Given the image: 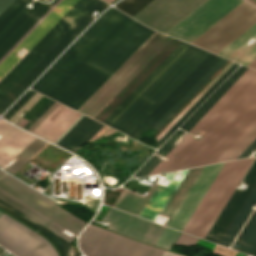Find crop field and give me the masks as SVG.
<instances>
[{"instance_id":"obj_1","label":"crop field","mask_w":256,"mask_h":256,"mask_svg":"<svg viewBox=\"0 0 256 256\" xmlns=\"http://www.w3.org/2000/svg\"><path fill=\"white\" fill-rule=\"evenodd\" d=\"M152 32L112 7L32 88L77 110Z\"/></svg>"},{"instance_id":"obj_2","label":"crop field","mask_w":256,"mask_h":256,"mask_svg":"<svg viewBox=\"0 0 256 256\" xmlns=\"http://www.w3.org/2000/svg\"><path fill=\"white\" fill-rule=\"evenodd\" d=\"M256 121V71L248 68L148 175L217 162Z\"/></svg>"},{"instance_id":"obj_3","label":"crop field","mask_w":256,"mask_h":256,"mask_svg":"<svg viewBox=\"0 0 256 256\" xmlns=\"http://www.w3.org/2000/svg\"><path fill=\"white\" fill-rule=\"evenodd\" d=\"M217 58L182 42L103 123L138 139Z\"/></svg>"},{"instance_id":"obj_4","label":"crop field","mask_w":256,"mask_h":256,"mask_svg":"<svg viewBox=\"0 0 256 256\" xmlns=\"http://www.w3.org/2000/svg\"><path fill=\"white\" fill-rule=\"evenodd\" d=\"M254 158L225 163L183 232L204 238Z\"/></svg>"},{"instance_id":"obj_5","label":"crop field","mask_w":256,"mask_h":256,"mask_svg":"<svg viewBox=\"0 0 256 256\" xmlns=\"http://www.w3.org/2000/svg\"><path fill=\"white\" fill-rule=\"evenodd\" d=\"M96 1L97 0H80L59 21V23L0 81V100Z\"/></svg>"},{"instance_id":"obj_6","label":"crop field","mask_w":256,"mask_h":256,"mask_svg":"<svg viewBox=\"0 0 256 256\" xmlns=\"http://www.w3.org/2000/svg\"><path fill=\"white\" fill-rule=\"evenodd\" d=\"M88 256H162L164 250L148 246L90 224L80 238Z\"/></svg>"},{"instance_id":"obj_7","label":"crop field","mask_w":256,"mask_h":256,"mask_svg":"<svg viewBox=\"0 0 256 256\" xmlns=\"http://www.w3.org/2000/svg\"><path fill=\"white\" fill-rule=\"evenodd\" d=\"M255 22L256 8L243 1L192 44L217 54Z\"/></svg>"},{"instance_id":"obj_8","label":"crop field","mask_w":256,"mask_h":256,"mask_svg":"<svg viewBox=\"0 0 256 256\" xmlns=\"http://www.w3.org/2000/svg\"><path fill=\"white\" fill-rule=\"evenodd\" d=\"M4 174L0 170V177ZM0 188L71 231L76 236L87 222L57 207L53 201L8 174L0 179Z\"/></svg>"},{"instance_id":"obj_9","label":"crop field","mask_w":256,"mask_h":256,"mask_svg":"<svg viewBox=\"0 0 256 256\" xmlns=\"http://www.w3.org/2000/svg\"><path fill=\"white\" fill-rule=\"evenodd\" d=\"M166 38L154 31L78 111L90 116Z\"/></svg>"},{"instance_id":"obj_10","label":"crop field","mask_w":256,"mask_h":256,"mask_svg":"<svg viewBox=\"0 0 256 256\" xmlns=\"http://www.w3.org/2000/svg\"><path fill=\"white\" fill-rule=\"evenodd\" d=\"M243 0H207L166 34L191 43Z\"/></svg>"},{"instance_id":"obj_11","label":"crop field","mask_w":256,"mask_h":256,"mask_svg":"<svg viewBox=\"0 0 256 256\" xmlns=\"http://www.w3.org/2000/svg\"><path fill=\"white\" fill-rule=\"evenodd\" d=\"M106 7V3L102 0H98L94 4V6L46 53V55L0 101V114L27 89L30 84L43 72V70L73 41V39L92 22V12L96 10L100 13Z\"/></svg>"},{"instance_id":"obj_12","label":"crop field","mask_w":256,"mask_h":256,"mask_svg":"<svg viewBox=\"0 0 256 256\" xmlns=\"http://www.w3.org/2000/svg\"><path fill=\"white\" fill-rule=\"evenodd\" d=\"M36 234L4 214L0 217V244L5 248L17 256H58L53 247Z\"/></svg>"},{"instance_id":"obj_13","label":"crop field","mask_w":256,"mask_h":256,"mask_svg":"<svg viewBox=\"0 0 256 256\" xmlns=\"http://www.w3.org/2000/svg\"><path fill=\"white\" fill-rule=\"evenodd\" d=\"M180 43L169 37L91 117L102 122Z\"/></svg>"},{"instance_id":"obj_14","label":"crop field","mask_w":256,"mask_h":256,"mask_svg":"<svg viewBox=\"0 0 256 256\" xmlns=\"http://www.w3.org/2000/svg\"><path fill=\"white\" fill-rule=\"evenodd\" d=\"M205 0H153L133 18L165 33Z\"/></svg>"},{"instance_id":"obj_15","label":"crop field","mask_w":256,"mask_h":256,"mask_svg":"<svg viewBox=\"0 0 256 256\" xmlns=\"http://www.w3.org/2000/svg\"><path fill=\"white\" fill-rule=\"evenodd\" d=\"M256 202V184L243 202L242 206L234 216L233 220L225 230L224 234L218 241V244L229 247L232 240L240 230L241 226L252 211V205ZM232 249L242 251L253 255L256 250V209L239 237L235 241Z\"/></svg>"},{"instance_id":"obj_16","label":"crop field","mask_w":256,"mask_h":256,"mask_svg":"<svg viewBox=\"0 0 256 256\" xmlns=\"http://www.w3.org/2000/svg\"><path fill=\"white\" fill-rule=\"evenodd\" d=\"M102 221L111 222L108 229L128 237L155 244L164 226L110 208Z\"/></svg>"},{"instance_id":"obj_17","label":"crop field","mask_w":256,"mask_h":256,"mask_svg":"<svg viewBox=\"0 0 256 256\" xmlns=\"http://www.w3.org/2000/svg\"><path fill=\"white\" fill-rule=\"evenodd\" d=\"M223 164L204 167L181 205L168 223V226L182 231L199 202L207 192Z\"/></svg>"},{"instance_id":"obj_18","label":"crop field","mask_w":256,"mask_h":256,"mask_svg":"<svg viewBox=\"0 0 256 256\" xmlns=\"http://www.w3.org/2000/svg\"><path fill=\"white\" fill-rule=\"evenodd\" d=\"M79 0H62L51 13L0 63V78L19 60L13 54L22 46L30 50Z\"/></svg>"},{"instance_id":"obj_19","label":"crop field","mask_w":256,"mask_h":256,"mask_svg":"<svg viewBox=\"0 0 256 256\" xmlns=\"http://www.w3.org/2000/svg\"><path fill=\"white\" fill-rule=\"evenodd\" d=\"M244 182L248 185L247 188L241 192L236 190L234 191L229 201L205 236V239L217 243L221 237L222 233L256 182V160L246 174Z\"/></svg>"},{"instance_id":"obj_20","label":"crop field","mask_w":256,"mask_h":256,"mask_svg":"<svg viewBox=\"0 0 256 256\" xmlns=\"http://www.w3.org/2000/svg\"><path fill=\"white\" fill-rule=\"evenodd\" d=\"M0 166L4 167L35 137L0 120Z\"/></svg>"},{"instance_id":"obj_21","label":"crop field","mask_w":256,"mask_h":256,"mask_svg":"<svg viewBox=\"0 0 256 256\" xmlns=\"http://www.w3.org/2000/svg\"><path fill=\"white\" fill-rule=\"evenodd\" d=\"M80 115L60 104L33 132L54 142Z\"/></svg>"},{"instance_id":"obj_22","label":"crop field","mask_w":256,"mask_h":256,"mask_svg":"<svg viewBox=\"0 0 256 256\" xmlns=\"http://www.w3.org/2000/svg\"><path fill=\"white\" fill-rule=\"evenodd\" d=\"M102 126L103 124L84 116L57 144L76 153Z\"/></svg>"},{"instance_id":"obj_23","label":"crop field","mask_w":256,"mask_h":256,"mask_svg":"<svg viewBox=\"0 0 256 256\" xmlns=\"http://www.w3.org/2000/svg\"><path fill=\"white\" fill-rule=\"evenodd\" d=\"M187 171L188 170H184L181 172L182 176L179 181L172 180L175 173L171 172L165 174L166 179L171 180L170 183L167 187L158 185L149 202L141 212L140 217L154 221L157 214H161L163 211Z\"/></svg>"},{"instance_id":"obj_24","label":"crop field","mask_w":256,"mask_h":256,"mask_svg":"<svg viewBox=\"0 0 256 256\" xmlns=\"http://www.w3.org/2000/svg\"><path fill=\"white\" fill-rule=\"evenodd\" d=\"M252 37L256 38V23L218 53V55L233 60L238 52L245 46L246 42ZM254 58H256V41L250 46H247L235 61L247 65Z\"/></svg>"},{"instance_id":"obj_25","label":"crop field","mask_w":256,"mask_h":256,"mask_svg":"<svg viewBox=\"0 0 256 256\" xmlns=\"http://www.w3.org/2000/svg\"><path fill=\"white\" fill-rule=\"evenodd\" d=\"M40 3L20 25L0 44V59L36 24V22L57 2Z\"/></svg>"},{"instance_id":"obj_26","label":"crop field","mask_w":256,"mask_h":256,"mask_svg":"<svg viewBox=\"0 0 256 256\" xmlns=\"http://www.w3.org/2000/svg\"><path fill=\"white\" fill-rule=\"evenodd\" d=\"M21 0H14L0 15V21L20 2ZM30 0H22L1 22L0 31L8 24V22L29 2ZM31 2V1H30ZM29 2V3H30ZM40 2L35 1L36 7ZM34 7V8H35ZM33 8V9H34ZM32 9V10H33ZM24 7L15 18L0 32V43L19 25V23L32 11Z\"/></svg>"},{"instance_id":"obj_27","label":"crop field","mask_w":256,"mask_h":256,"mask_svg":"<svg viewBox=\"0 0 256 256\" xmlns=\"http://www.w3.org/2000/svg\"><path fill=\"white\" fill-rule=\"evenodd\" d=\"M0 199L5 201L6 203L10 204L14 208L18 209L22 213L26 214L30 218L34 219L38 223L42 224L46 228L50 229L54 233L58 234L62 238L66 239L67 241L71 242L75 238L74 236H72L71 238L68 237L66 234H64L62 232L65 229H63L59 225L55 224L54 222H52L45 216L41 215L37 211L33 210L29 206L25 205L24 203L17 200L16 198H14L13 196L9 195L8 193H6L5 191H3L1 189H0Z\"/></svg>"},{"instance_id":"obj_28","label":"crop field","mask_w":256,"mask_h":256,"mask_svg":"<svg viewBox=\"0 0 256 256\" xmlns=\"http://www.w3.org/2000/svg\"><path fill=\"white\" fill-rule=\"evenodd\" d=\"M247 67L240 66L236 72L225 81L183 124L181 127L189 131L195 123L210 109V107L225 93V91L240 77Z\"/></svg>"},{"instance_id":"obj_29","label":"crop field","mask_w":256,"mask_h":256,"mask_svg":"<svg viewBox=\"0 0 256 256\" xmlns=\"http://www.w3.org/2000/svg\"><path fill=\"white\" fill-rule=\"evenodd\" d=\"M0 207L3 208L4 210L8 211L9 213L13 214L17 218L21 219L25 223L29 224L33 228L37 229L38 231L42 232L47 237H49L53 241V243L58 247L62 256H80V253L78 251H76L67 241H65L64 239L55 235L54 233L47 230L46 228L42 227L38 223L34 222L30 218L26 217L25 215H23L22 213L15 210L14 208L7 205L6 203H4L1 200H0Z\"/></svg>"},{"instance_id":"obj_30","label":"crop field","mask_w":256,"mask_h":256,"mask_svg":"<svg viewBox=\"0 0 256 256\" xmlns=\"http://www.w3.org/2000/svg\"><path fill=\"white\" fill-rule=\"evenodd\" d=\"M156 187L157 185L153 184L145 198L123 189L113 207L139 216Z\"/></svg>"},{"instance_id":"obj_31","label":"crop field","mask_w":256,"mask_h":256,"mask_svg":"<svg viewBox=\"0 0 256 256\" xmlns=\"http://www.w3.org/2000/svg\"><path fill=\"white\" fill-rule=\"evenodd\" d=\"M202 169L203 167L189 169L181 184L177 188L176 192L174 193L169 203L165 207L164 211L162 212V215L170 217L169 220L171 219L172 215L180 205L181 201L189 191L190 187L192 186Z\"/></svg>"},{"instance_id":"obj_32","label":"crop field","mask_w":256,"mask_h":256,"mask_svg":"<svg viewBox=\"0 0 256 256\" xmlns=\"http://www.w3.org/2000/svg\"><path fill=\"white\" fill-rule=\"evenodd\" d=\"M227 61L222 58L190 91L189 93L155 126L161 129L176 112L211 78V76Z\"/></svg>"},{"instance_id":"obj_33","label":"crop field","mask_w":256,"mask_h":256,"mask_svg":"<svg viewBox=\"0 0 256 256\" xmlns=\"http://www.w3.org/2000/svg\"><path fill=\"white\" fill-rule=\"evenodd\" d=\"M256 138V122L245 132V134L226 152L218 161L236 159L243 150Z\"/></svg>"},{"instance_id":"obj_34","label":"crop field","mask_w":256,"mask_h":256,"mask_svg":"<svg viewBox=\"0 0 256 256\" xmlns=\"http://www.w3.org/2000/svg\"><path fill=\"white\" fill-rule=\"evenodd\" d=\"M234 64L230 61L212 81L175 117V119L156 137L157 141L196 103V101Z\"/></svg>"},{"instance_id":"obj_35","label":"crop field","mask_w":256,"mask_h":256,"mask_svg":"<svg viewBox=\"0 0 256 256\" xmlns=\"http://www.w3.org/2000/svg\"><path fill=\"white\" fill-rule=\"evenodd\" d=\"M47 142L36 138L31 144H29L21 153H19L15 158L18 160L8 169L12 174L22 166L32 155H34L38 150H40ZM33 157V156H32Z\"/></svg>"},{"instance_id":"obj_36","label":"crop field","mask_w":256,"mask_h":256,"mask_svg":"<svg viewBox=\"0 0 256 256\" xmlns=\"http://www.w3.org/2000/svg\"><path fill=\"white\" fill-rule=\"evenodd\" d=\"M238 66L234 64L218 81L217 83L178 121V123L158 142L160 146L173 132L174 130L207 98V96Z\"/></svg>"},{"instance_id":"obj_37","label":"crop field","mask_w":256,"mask_h":256,"mask_svg":"<svg viewBox=\"0 0 256 256\" xmlns=\"http://www.w3.org/2000/svg\"><path fill=\"white\" fill-rule=\"evenodd\" d=\"M151 1L152 0H124L115 6L124 13L133 16Z\"/></svg>"},{"instance_id":"obj_38","label":"crop field","mask_w":256,"mask_h":256,"mask_svg":"<svg viewBox=\"0 0 256 256\" xmlns=\"http://www.w3.org/2000/svg\"><path fill=\"white\" fill-rule=\"evenodd\" d=\"M179 234L180 232L165 227L163 233L161 234L160 238L156 243V246L169 249L175 242Z\"/></svg>"},{"instance_id":"obj_39","label":"crop field","mask_w":256,"mask_h":256,"mask_svg":"<svg viewBox=\"0 0 256 256\" xmlns=\"http://www.w3.org/2000/svg\"><path fill=\"white\" fill-rule=\"evenodd\" d=\"M36 92L29 90L22 98H20L3 116V118L10 119Z\"/></svg>"},{"instance_id":"obj_40","label":"crop field","mask_w":256,"mask_h":256,"mask_svg":"<svg viewBox=\"0 0 256 256\" xmlns=\"http://www.w3.org/2000/svg\"><path fill=\"white\" fill-rule=\"evenodd\" d=\"M181 130H177L155 153H159L164 157L174 147L172 144L183 134Z\"/></svg>"},{"instance_id":"obj_41","label":"crop field","mask_w":256,"mask_h":256,"mask_svg":"<svg viewBox=\"0 0 256 256\" xmlns=\"http://www.w3.org/2000/svg\"><path fill=\"white\" fill-rule=\"evenodd\" d=\"M219 57L153 124L154 127L186 94L187 92L220 60Z\"/></svg>"},{"instance_id":"obj_42","label":"crop field","mask_w":256,"mask_h":256,"mask_svg":"<svg viewBox=\"0 0 256 256\" xmlns=\"http://www.w3.org/2000/svg\"><path fill=\"white\" fill-rule=\"evenodd\" d=\"M160 161L159 157L153 155L134 176L141 177L147 175Z\"/></svg>"},{"instance_id":"obj_43","label":"crop field","mask_w":256,"mask_h":256,"mask_svg":"<svg viewBox=\"0 0 256 256\" xmlns=\"http://www.w3.org/2000/svg\"><path fill=\"white\" fill-rule=\"evenodd\" d=\"M197 241L198 238L181 233L175 244L190 246L192 244L195 245Z\"/></svg>"},{"instance_id":"obj_44","label":"crop field","mask_w":256,"mask_h":256,"mask_svg":"<svg viewBox=\"0 0 256 256\" xmlns=\"http://www.w3.org/2000/svg\"><path fill=\"white\" fill-rule=\"evenodd\" d=\"M41 97L36 93L9 121L12 122L24 109L28 111Z\"/></svg>"},{"instance_id":"obj_45","label":"crop field","mask_w":256,"mask_h":256,"mask_svg":"<svg viewBox=\"0 0 256 256\" xmlns=\"http://www.w3.org/2000/svg\"><path fill=\"white\" fill-rule=\"evenodd\" d=\"M53 103L50 100L23 128L27 130Z\"/></svg>"},{"instance_id":"obj_46","label":"crop field","mask_w":256,"mask_h":256,"mask_svg":"<svg viewBox=\"0 0 256 256\" xmlns=\"http://www.w3.org/2000/svg\"><path fill=\"white\" fill-rule=\"evenodd\" d=\"M58 105L55 102L28 130L33 131Z\"/></svg>"},{"instance_id":"obj_47","label":"crop field","mask_w":256,"mask_h":256,"mask_svg":"<svg viewBox=\"0 0 256 256\" xmlns=\"http://www.w3.org/2000/svg\"><path fill=\"white\" fill-rule=\"evenodd\" d=\"M60 1H61V0H59V1L49 10V12L47 11L48 13L46 12L47 14L45 13L46 15L44 14L45 16L43 15L44 17L42 16L43 18L41 17L42 19L40 18L41 20L39 19L40 21L38 20V21H39V22L37 21L38 23L36 22L37 24H36V25H35V26H34V27H33V28H32V29H31V30H30V31L14 46L1 60H0V62H1L15 47L28 35V34H29V33H30V32H31V31H32L49 13H50V11H51Z\"/></svg>"},{"instance_id":"obj_48","label":"crop field","mask_w":256,"mask_h":256,"mask_svg":"<svg viewBox=\"0 0 256 256\" xmlns=\"http://www.w3.org/2000/svg\"><path fill=\"white\" fill-rule=\"evenodd\" d=\"M254 148H256V139L245 149V151L237 159L248 157Z\"/></svg>"},{"instance_id":"obj_49","label":"crop field","mask_w":256,"mask_h":256,"mask_svg":"<svg viewBox=\"0 0 256 256\" xmlns=\"http://www.w3.org/2000/svg\"><path fill=\"white\" fill-rule=\"evenodd\" d=\"M13 0H0V14Z\"/></svg>"},{"instance_id":"obj_50","label":"crop field","mask_w":256,"mask_h":256,"mask_svg":"<svg viewBox=\"0 0 256 256\" xmlns=\"http://www.w3.org/2000/svg\"><path fill=\"white\" fill-rule=\"evenodd\" d=\"M27 122H28V120H25V119L21 118V119L16 123V125H19V126L23 127Z\"/></svg>"},{"instance_id":"obj_51","label":"crop field","mask_w":256,"mask_h":256,"mask_svg":"<svg viewBox=\"0 0 256 256\" xmlns=\"http://www.w3.org/2000/svg\"><path fill=\"white\" fill-rule=\"evenodd\" d=\"M163 256H181V255H177V254H174V253H170V252L165 251V253L163 254Z\"/></svg>"},{"instance_id":"obj_52","label":"crop field","mask_w":256,"mask_h":256,"mask_svg":"<svg viewBox=\"0 0 256 256\" xmlns=\"http://www.w3.org/2000/svg\"><path fill=\"white\" fill-rule=\"evenodd\" d=\"M248 66L253 67L256 69V59H254Z\"/></svg>"},{"instance_id":"obj_53","label":"crop field","mask_w":256,"mask_h":256,"mask_svg":"<svg viewBox=\"0 0 256 256\" xmlns=\"http://www.w3.org/2000/svg\"><path fill=\"white\" fill-rule=\"evenodd\" d=\"M105 1L108 2V3H111V2H113L115 0H105Z\"/></svg>"},{"instance_id":"obj_54","label":"crop field","mask_w":256,"mask_h":256,"mask_svg":"<svg viewBox=\"0 0 256 256\" xmlns=\"http://www.w3.org/2000/svg\"><path fill=\"white\" fill-rule=\"evenodd\" d=\"M4 251V249L2 247H0V254Z\"/></svg>"},{"instance_id":"obj_55","label":"crop field","mask_w":256,"mask_h":256,"mask_svg":"<svg viewBox=\"0 0 256 256\" xmlns=\"http://www.w3.org/2000/svg\"><path fill=\"white\" fill-rule=\"evenodd\" d=\"M7 252L3 253L1 256L5 255Z\"/></svg>"},{"instance_id":"obj_56","label":"crop field","mask_w":256,"mask_h":256,"mask_svg":"<svg viewBox=\"0 0 256 256\" xmlns=\"http://www.w3.org/2000/svg\"><path fill=\"white\" fill-rule=\"evenodd\" d=\"M251 1H253V2H255V3H256V0H251Z\"/></svg>"},{"instance_id":"obj_57","label":"crop field","mask_w":256,"mask_h":256,"mask_svg":"<svg viewBox=\"0 0 256 256\" xmlns=\"http://www.w3.org/2000/svg\"><path fill=\"white\" fill-rule=\"evenodd\" d=\"M254 256H256V252L254 253Z\"/></svg>"},{"instance_id":"obj_58","label":"crop field","mask_w":256,"mask_h":256,"mask_svg":"<svg viewBox=\"0 0 256 256\" xmlns=\"http://www.w3.org/2000/svg\"><path fill=\"white\" fill-rule=\"evenodd\" d=\"M7 256H12V255L8 254Z\"/></svg>"},{"instance_id":"obj_59","label":"crop field","mask_w":256,"mask_h":256,"mask_svg":"<svg viewBox=\"0 0 256 256\" xmlns=\"http://www.w3.org/2000/svg\"><path fill=\"white\" fill-rule=\"evenodd\" d=\"M3 213L0 212V216L2 215Z\"/></svg>"},{"instance_id":"obj_60","label":"crop field","mask_w":256,"mask_h":256,"mask_svg":"<svg viewBox=\"0 0 256 256\" xmlns=\"http://www.w3.org/2000/svg\"><path fill=\"white\" fill-rule=\"evenodd\" d=\"M255 155H256V154H255ZM255 155H254V156H255Z\"/></svg>"}]
</instances>
